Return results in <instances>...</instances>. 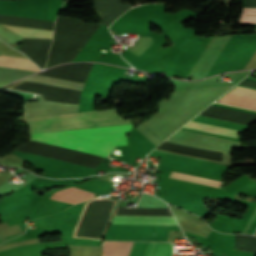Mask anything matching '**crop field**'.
Instances as JSON below:
<instances>
[{"mask_svg":"<svg viewBox=\"0 0 256 256\" xmlns=\"http://www.w3.org/2000/svg\"><path fill=\"white\" fill-rule=\"evenodd\" d=\"M184 127L190 128V129L206 131V132L222 134V135L233 136V137H235V133L237 132L236 129H230V128L214 126V125H209V124H204V123H198V122H193V121L188 122Z\"/></svg>","mask_w":256,"mask_h":256,"instance_id":"crop-field-8","label":"crop field"},{"mask_svg":"<svg viewBox=\"0 0 256 256\" xmlns=\"http://www.w3.org/2000/svg\"><path fill=\"white\" fill-rule=\"evenodd\" d=\"M132 127V125H126L86 130L65 131L61 133L111 143L115 145H127L125 135L131 131ZM61 133L55 132L35 134L30 135V139L102 157H105L115 147L114 145L87 140Z\"/></svg>","mask_w":256,"mask_h":256,"instance_id":"crop-field-1","label":"crop field"},{"mask_svg":"<svg viewBox=\"0 0 256 256\" xmlns=\"http://www.w3.org/2000/svg\"><path fill=\"white\" fill-rule=\"evenodd\" d=\"M23 38H51L53 30L6 26Z\"/></svg>","mask_w":256,"mask_h":256,"instance_id":"crop-field-9","label":"crop field"},{"mask_svg":"<svg viewBox=\"0 0 256 256\" xmlns=\"http://www.w3.org/2000/svg\"><path fill=\"white\" fill-rule=\"evenodd\" d=\"M93 196H94V193L84 191L75 187H71V188L61 190L52 198L74 204V203L88 200Z\"/></svg>","mask_w":256,"mask_h":256,"instance_id":"crop-field-7","label":"crop field"},{"mask_svg":"<svg viewBox=\"0 0 256 256\" xmlns=\"http://www.w3.org/2000/svg\"><path fill=\"white\" fill-rule=\"evenodd\" d=\"M113 224L177 225L174 217L116 215Z\"/></svg>","mask_w":256,"mask_h":256,"instance_id":"crop-field-4","label":"crop field"},{"mask_svg":"<svg viewBox=\"0 0 256 256\" xmlns=\"http://www.w3.org/2000/svg\"><path fill=\"white\" fill-rule=\"evenodd\" d=\"M115 216V215H114ZM114 219V218H113ZM113 223V222H112Z\"/></svg>","mask_w":256,"mask_h":256,"instance_id":"crop-field-13","label":"crop field"},{"mask_svg":"<svg viewBox=\"0 0 256 256\" xmlns=\"http://www.w3.org/2000/svg\"><path fill=\"white\" fill-rule=\"evenodd\" d=\"M25 119L29 126L30 134L131 124L130 119H124V115L119 116L115 108Z\"/></svg>","mask_w":256,"mask_h":256,"instance_id":"crop-field-2","label":"crop field"},{"mask_svg":"<svg viewBox=\"0 0 256 256\" xmlns=\"http://www.w3.org/2000/svg\"><path fill=\"white\" fill-rule=\"evenodd\" d=\"M0 68L38 72L40 69L29 59L0 55Z\"/></svg>","mask_w":256,"mask_h":256,"instance_id":"crop-field-6","label":"crop field"},{"mask_svg":"<svg viewBox=\"0 0 256 256\" xmlns=\"http://www.w3.org/2000/svg\"><path fill=\"white\" fill-rule=\"evenodd\" d=\"M171 177L186 180V181L206 184V185H210V186H215V187H218L221 184V182H218V181L201 178V177H196V176H191V175H186V174H181V173H176V172H173Z\"/></svg>","mask_w":256,"mask_h":256,"instance_id":"crop-field-11","label":"crop field"},{"mask_svg":"<svg viewBox=\"0 0 256 256\" xmlns=\"http://www.w3.org/2000/svg\"><path fill=\"white\" fill-rule=\"evenodd\" d=\"M133 242H104L102 256H128ZM173 248L168 243H150L144 256H170Z\"/></svg>","mask_w":256,"mask_h":256,"instance_id":"crop-field-3","label":"crop field"},{"mask_svg":"<svg viewBox=\"0 0 256 256\" xmlns=\"http://www.w3.org/2000/svg\"><path fill=\"white\" fill-rule=\"evenodd\" d=\"M240 22L256 23V8H244Z\"/></svg>","mask_w":256,"mask_h":256,"instance_id":"crop-field-12","label":"crop field"},{"mask_svg":"<svg viewBox=\"0 0 256 256\" xmlns=\"http://www.w3.org/2000/svg\"><path fill=\"white\" fill-rule=\"evenodd\" d=\"M24 81H30V82L52 85V86H57V87H62V88L79 90V91H81L84 86L81 84H75V83L64 82V81L48 79V78H43V77H37V76L26 78V79H24Z\"/></svg>","mask_w":256,"mask_h":256,"instance_id":"crop-field-10","label":"crop field"},{"mask_svg":"<svg viewBox=\"0 0 256 256\" xmlns=\"http://www.w3.org/2000/svg\"><path fill=\"white\" fill-rule=\"evenodd\" d=\"M232 91L242 93V94L251 95V96H256V91L241 89V88H237V87H235ZM217 102L256 110V99L255 98L236 95V94H232V93L227 94L226 96H224Z\"/></svg>","mask_w":256,"mask_h":256,"instance_id":"crop-field-5","label":"crop field"}]
</instances>
